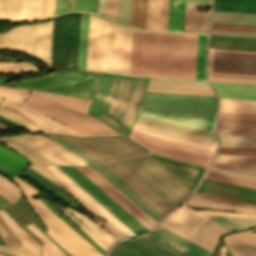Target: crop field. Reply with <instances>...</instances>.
<instances>
[{
    "instance_id": "16",
    "label": "crop field",
    "mask_w": 256,
    "mask_h": 256,
    "mask_svg": "<svg viewBox=\"0 0 256 256\" xmlns=\"http://www.w3.org/2000/svg\"><path fill=\"white\" fill-rule=\"evenodd\" d=\"M196 191L256 204V189L248 187L203 178Z\"/></svg>"
},
{
    "instance_id": "58",
    "label": "crop field",
    "mask_w": 256,
    "mask_h": 256,
    "mask_svg": "<svg viewBox=\"0 0 256 256\" xmlns=\"http://www.w3.org/2000/svg\"><path fill=\"white\" fill-rule=\"evenodd\" d=\"M211 29L242 31V32H255L256 33V26H243V25L212 23Z\"/></svg>"
},
{
    "instance_id": "7",
    "label": "crop field",
    "mask_w": 256,
    "mask_h": 256,
    "mask_svg": "<svg viewBox=\"0 0 256 256\" xmlns=\"http://www.w3.org/2000/svg\"><path fill=\"white\" fill-rule=\"evenodd\" d=\"M51 29L52 20L14 27L0 34V49L24 52L51 66Z\"/></svg>"
},
{
    "instance_id": "69",
    "label": "crop field",
    "mask_w": 256,
    "mask_h": 256,
    "mask_svg": "<svg viewBox=\"0 0 256 256\" xmlns=\"http://www.w3.org/2000/svg\"><path fill=\"white\" fill-rule=\"evenodd\" d=\"M0 195L10 203L18 198L17 196H15L13 193H11L9 190H7L5 187L1 185H0Z\"/></svg>"
},
{
    "instance_id": "68",
    "label": "crop field",
    "mask_w": 256,
    "mask_h": 256,
    "mask_svg": "<svg viewBox=\"0 0 256 256\" xmlns=\"http://www.w3.org/2000/svg\"><path fill=\"white\" fill-rule=\"evenodd\" d=\"M210 34L256 37V34L254 33L229 32V31H217V30H211Z\"/></svg>"
},
{
    "instance_id": "70",
    "label": "crop field",
    "mask_w": 256,
    "mask_h": 256,
    "mask_svg": "<svg viewBox=\"0 0 256 256\" xmlns=\"http://www.w3.org/2000/svg\"><path fill=\"white\" fill-rule=\"evenodd\" d=\"M19 105L22 106V107H24V106L21 105V104H19ZM24 108H26V107H24ZM26 109L29 110V111H31V110L28 109V108H26ZM31 112H33V111H31ZM33 113H35V112H33ZM35 114H37L38 116H40V117L46 119L47 121H49V122H51V123L57 125L58 127L64 129L65 131L69 132L71 135L81 136V135L77 134L76 132L72 131L71 129H69V128H67V127H65V126H63V125H61V124H59V123H57V122H55V121H53V120L47 118V117H44V116H42V115H40V114H38V113H35Z\"/></svg>"
},
{
    "instance_id": "30",
    "label": "crop field",
    "mask_w": 256,
    "mask_h": 256,
    "mask_svg": "<svg viewBox=\"0 0 256 256\" xmlns=\"http://www.w3.org/2000/svg\"><path fill=\"white\" fill-rule=\"evenodd\" d=\"M0 217L24 247V249L35 256H39L40 245L24 231L5 211L0 210Z\"/></svg>"
},
{
    "instance_id": "62",
    "label": "crop field",
    "mask_w": 256,
    "mask_h": 256,
    "mask_svg": "<svg viewBox=\"0 0 256 256\" xmlns=\"http://www.w3.org/2000/svg\"><path fill=\"white\" fill-rule=\"evenodd\" d=\"M168 2L169 0L161 1V21H160V30L167 31V22H168Z\"/></svg>"
},
{
    "instance_id": "10",
    "label": "crop field",
    "mask_w": 256,
    "mask_h": 256,
    "mask_svg": "<svg viewBox=\"0 0 256 256\" xmlns=\"http://www.w3.org/2000/svg\"><path fill=\"white\" fill-rule=\"evenodd\" d=\"M215 103L214 96L146 92L141 106L214 117Z\"/></svg>"
},
{
    "instance_id": "46",
    "label": "crop field",
    "mask_w": 256,
    "mask_h": 256,
    "mask_svg": "<svg viewBox=\"0 0 256 256\" xmlns=\"http://www.w3.org/2000/svg\"><path fill=\"white\" fill-rule=\"evenodd\" d=\"M160 1L161 0H148L146 22L147 30H159Z\"/></svg>"
},
{
    "instance_id": "2",
    "label": "crop field",
    "mask_w": 256,
    "mask_h": 256,
    "mask_svg": "<svg viewBox=\"0 0 256 256\" xmlns=\"http://www.w3.org/2000/svg\"><path fill=\"white\" fill-rule=\"evenodd\" d=\"M161 33L132 28L129 74L158 77ZM197 35L162 33L159 77L194 79Z\"/></svg>"
},
{
    "instance_id": "29",
    "label": "crop field",
    "mask_w": 256,
    "mask_h": 256,
    "mask_svg": "<svg viewBox=\"0 0 256 256\" xmlns=\"http://www.w3.org/2000/svg\"><path fill=\"white\" fill-rule=\"evenodd\" d=\"M219 97L256 100V86L211 82Z\"/></svg>"
},
{
    "instance_id": "21",
    "label": "crop field",
    "mask_w": 256,
    "mask_h": 256,
    "mask_svg": "<svg viewBox=\"0 0 256 256\" xmlns=\"http://www.w3.org/2000/svg\"><path fill=\"white\" fill-rule=\"evenodd\" d=\"M66 208V207H65ZM68 209L75 217H77L81 222H83L87 227H89L92 231H90L87 227H85L82 223L72 217L70 214L65 212L63 209L59 208V210L66 215L71 221H73L77 226L83 229L104 251L114 243L116 239L114 236L109 234L107 231L102 229L100 226L95 224L93 221L88 219L86 216L70 209Z\"/></svg>"
},
{
    "instance_id": "18",
    "label": "crop field",
    "mask_w": 256,
    "mask_h": 256,
    "mask_svg": "<svg viewBox=\"0 0 256 256\" xmlns=\"http://www.w3.org/2000/svg\"><path fill=\"white\" fill-rule=\"evenodd\" d=\"M138 113L214 132V118L211 117L177 113L144 107H141Z\"/></svg>"
},
{
    "instance_id": "14",
    "label": "crop field",
    "mask_w": 256,
    "mask_h": 256,
    "mask_svg": "<svg viewBox=\"0 0 256 256\" xmlns=\"http://www.w3.org/2000/svg\"><path fill=\"white\" fill-rule=\"evenodd\" d=\"M211 215H229L256 218L254 215L243 213H231L220 211H193L185 206L180 207L172 215H170L163 223L162 226L186 237L188 240L191 234Z\"/></svg>"
},
{
    "instance_id": "12",
    "label": "crop field",
    "mask_w": 256,
    "mask_h": 256,
    "mask_svg": "<svg viewBox=\"0 0 256 256\" xmlns=\"http://www.w3.org/2000/svg\"><path fill=\"white\" fill-rule=\"evenodd\" d=\"M129 137L139 142L140 144L144 145L145 147L149 148L150 151L154 153L205 165V166H207L210 158L214 154L213 151H209V150H205V149L133 132V131L131 132Z\"/></svg>"
},
{
    "instance_id": "56",
    "label": "crop field",
    "mask_w": 256,
    "mask_h": 256,
    "mask_svg": "<svg viewBox=\"0 0 256 256\" xmlns=\"http://www.w3.org/2000/svg\"><path fill=\"white\" fill-rule=\"evenodd\" d=\"M116 0H107V14L115 17ZM97 14L114 19L106 15V0H98Z\"/></svg>"
},
{
    "instance_id": "71",
    "label": "crop field",
    "mask_w": 256,
    "mask_h": 256,
    "mask_svg": "<svg viewBox=\"0 0 256 256\" xmlns=\"http://www.w3.org/2000/svg\"><path fill=\"white\" fill-rule=\"evenodd\" d=\"M186 4L210 6V0H186Z\"/></svg>"
},
{
    "instance_id": "38",
    "label": "crop field",
    "mask_w": 256,
    "mask_h": 256,
    "mask_svg": "<svg viewBox=\"0 0 256 256\" xmlns=\"http://www.w3.org/2000/svg\"><path fill=\"white\" fill-rule=\"evenodd\" d=\"M219 111L256 114V101L220 98Z\"/></svg>"
},
{
    "instance_id": "43",
    "label": "crop field",
    "mask_w": 256,
    "mask_h": 256,
    "mask_svg": "<svg viewBox=\"0 0 256 256\" xmlns=\"http://www.w3.org/2000/svg\"><path fill=\"white\" fill-rule=\"evenodd\" d=\"M184 0H170L168 31H182Z\"/></svg>"
},
{
    "instance_id": "26",
    "label": "crop field",
    "mask_w": 256,
    "mask_h": 256,
    "mask_svg": "<svg viewBox=\"0 0 256 256\" xmlns=\"http://www.w3.org/2000/svg\"><path fill=\"white\" fill-rule=\"evenodd\" d=\"M57 164H76L30 134L9 136Z\"/></svg>"
},
{
    "instance_id": "39",
    "label": "crop field",
    "mask_w": 256,
    "mask_h": 256,
    "mask_svg": "<svg viewBox=\"0 0 256 256\" xmlns=\"http://www.w3.org/2000/svg\"><path fill=\"white\" fill-rule=\"evenodd\" d=\"M96 0H56L55 15L70 10L90 11L95 13Z\"/></svg>"
},
{
    "instance_id": "77",
    "label": "crop field",
    "mask_w": 256,
    "mask_h": 256,
    "mask_svg": "<svg viewBox=\"0 0 256 256\" xmlns=\"http://www.w3.org/2000/svg\"><path fill=\"white\" fill-rule=\"evenodd\" d=\"M6 206V204H4L1 200H0V207H4Z\"/></svg>"
},
{
    "instance_id": "22",
    "label": "crop field",
    "mask_w": 256,
    "mask_h": 256,
    "mask_svg": "<svg viewBox=\"0 0 256 256\" xmlns=\"http://www.w3.org/2000/svg\"><path fill=\"white\" fill-rule=\"evenodd\" d=\"M211 166L256 176V157L217 154Z\"/></svg>"
},
{
    "instance_id": "44",
    "label": "crop field",
    "mask_w": 256,
    "mask_h": 256,
    "mask_svg": "<svg viewBox=\"0 0 256 256\" xmlns=\"http://www.w3.org/2000/svg\"><path fill=\"white\" fill-rule=\"evenodd\" d=\"M89 14L81 13L78 68L85 69Z\"/></svg>"
},
{
    "instance_id": "25",
    "label": "crop field",
    "mask_w": 256,
    "mask_h": 256,
    "mask_svg": "<svg viewBox=\"0 0 256 256\" xmlns=\"http://www.w3.org/2000/svg\"><path fill=\"white\" fill-rule=\"evenodd\" d=\"M135 121L160 127V128H164V129H168V130H172V131H176V132H180V133H184V134H188V135H192V136H196V137H200V138H204V139H208V140H212V141H216L215 134L212 132H208V131H204V130H200V129H196V128H192V127H188V126H184V125H180V124H176V123H172V122H168V121H164V120H160V119H156V118H152V117H148L140 114L137 115V118Z\"/></svg>"
},
{
    "instance_id": "55",
    "label": "crop field",
    "mask_w": 256,
    "mask_h": 256,
    "mask_svg": "<svg viewBox=\"0 0 256 256\" xmlns=\"http://www.w3.org/2000/svg\"><path fill=\"white\" fill-rule=\"evenodd\" d=\"M0 235L3 238L6 246L23 249V247L20 245L17 239L13 236V234L10 232V230L7 228V226L2 221L1 218H0Z\"/></svg>"
},
{
    "instance_id": "52",
    "label": "crop field",
    "mask_w": 256,
    "mask_h": 256,
    "mask_svg": "<svg viewBox=\"0 0 256 256\" xmlns=\"http://www.w3.org/2000/svg\"><path fill=\"white\" fill-rule=\"evenodd\" d=\"M131 0H117L116 20L130 25Z\"/></svg>"
},
{
    "instance_id": "28",
    "label": "crop field",
    "mask_w": 256,
    "mask_h": 256,
    "mask_svg": "<svg viewBox=\"0 0 256 256\" xmlns=\"http://www.w3.org/2000/svg\"><path fill=\"white\" fill-rule=\"evenodd\" d=\"M28 160L0 145V174L9 179L27 167Z\"/></svg>"
},
{
    "instance_id": "35",
    "label": "crop field",
    "mask_w": 256,
    "mask_h": 256,
    "mask_svg": "<svg viewBox=\"0 0 256 256\" xmlns=\"http://www.w3.org/2000/svg\"><path fill=\"white\" fill-rule=\"evenodd\" d=\"M212 22L256 25V14L213 11Z\"/></svg>"
},
{
    "instance_id": "34",
    "label": "crop field",
    "mask_w": 256,
    "mask_h": 256,
    "mask_svg": "<svg viewBox=\"0 0 256 256\" xmlns=\"http://www.w3.org/2000/svg\"><path fill=\"white\" fill-rule=\"evenodd\" d=\"M218 133L221 146L256 148V134Z\"/></svg>"
},
{
    "instance_id": "53",
    "label": "crop field",
    "mask_w": 256,
    "mask_h": 256,
    "mask_svg": "<svg viewBox=\"0 0 256 256\" xmlns=\"http://www.w3.org/2000/svg\"><path fill=\"white\" fill-rule=\"evenodd\" d=\"M33 136H35L38 139H40L41 141L45 142L46 144H48L52 148L56 149L57 151H59L63 155H65L68 158H70L71 160L75 161L76 163L88 165L87 163H85L80 158H78L77 156H75L74 154H72L71 152H69L68 150L63 148L62 146H60L58 143H56L55 141H53L49 137H46V136H43V135H33Z\"/></svg>"
},
{
    "instance_id": "47",
    "label": "crop field",
    "mask_w": 256,
    "mask_h": 256,
    "mask_svg": "<svg viewBox=\"0 0 256 256\" xmlns=\"http://www.w3.org/2000/svg\"><path fill=\"white\" fill-rule=\"evenodd\" d=\"M148 85L210 89L207 82L151 79Z\"/></svg>"
},
{
    "instance_id": "59",
    "label": "crop field",
    "mask_w": 256,
    "mask_h": 256,
    "mask_svg": "<svg viewBox=\"0 0 256 256\" xmlns=\"http://www.w3.org/2000/svg\"><path fill=\"white\" fill-rule=\"evenodd\" d=\"M210 81L256 84V79L208 75Z\"/></svg>"
},
{
    "instance_id": "19",
    "label": "crop field",
    "mask_w": 256,
    "mask_h": 256,
    "mask_svg": "<svg viewBox=\"0 0 256 256\" xmlns=\"http://www.w3.org/2000/svg\"><path fill=\"white\" fill-rule=\"evenodd\" d=\"M55 174L58 178L64 181L68 186H70L76 193H78L84 200H86L91 206H93L99 213H101L106 219H108L114 226H116L122 233L126 236L134 235L127 226H125L121 221H119L114 215H112L107 209H105L100 203H98L94 198H92L87 192H85L80 186H78L73 180H71L67 175H65L56 166H44Z\"/></svg>"
},
{
    "instance_id": "9",
    "label": "crop field",
    "mask_w": 256,
    "mask_h": 256,
    "mask_svg": "<svg viewBox=\"0 0 256 256\" xmlns=\"http://www.w3.org/2000/svg\"><path fill=\"white\" fill-rule=\"evenodd\" d=\"M208 74L256 78V50L209 47Z\"/></svg>"
},
{
    "instance_id": "11",
    "label": "crop field",
    "mask_w": 256,
    "mask_h": 256,
    "mask_svg": "<svg viewBox=\"0 0 256 256\" xmlns=\"http://www.w3.org/2000/svg\"><path fill=\"white\" fill-rule=\"evenodd\" d=\"M127 240L146 248L160 256H210L211 252L187 241L185 238L163 228L144 237Z\"/></svg>"
},
{
    "instance_id": "65",
    "label": "crop field",
    "mask_w": 256,
    "mask_h": 256,
    "mask_svg": "<svg viewBox=\"0 0 256 256\" xmlns=\"http://www.w3.org/2000/svg\"><path fill=\"white\" fill-rule=\"evenodd\" d=\"M230 251L256 252V245L227 244Z\"/></svg>"
},
{
    "instance_id": "75",
    "label": "crop field",
    "mask_w": 256,
    "mask_h": 256,
    "mask_svg": "<svg viewBox=\"0 0 256 256\" xmlns=\"http://www.w3.org/2000/svg\"><path fill=\"white\" fill-rule=\"evenodd\" d=\"M207 30L184 29V32L206 33Z\"/></svg>"
},
{
    "instance_id": "13",
    "label": "crop field",
    "mask_w": 256,
    "mask_h": 256,
    "mask_svg": "<svg viewBox=\"0 0 256 256\" xmlns=\"http://www.w3.org/2000/svg\"><path fill=\"white\" fill-rule=\"evenodd\" d=\"M136 234L149 231L74 166H57Z\"/></svg>"
},
{
    "instance_id": "67",
    "label": "crop field",
    "mask_w": 256,
    "mask_h": 256,
    "mask_svg": "<svg viewBox=\"0 0 256 256\" xmlns=\"http://www.w3.org/2000/svg\"><path fill=\"white\" fill-rule=\"evenodd\" d=\"M218 117L241 118V119H256V115L237 114V113H225V112H219Z\"/></svg>"
},
{
    "instance_id": "45",
    "label": "crop field",
    "mask_w": 256,
    "mask_h": 256,
    "mask_svg": "<svg viewBox=\"0 0 256 256\" xmlns=\"http://www.w3.org/2000/svg\"><path fill=\"white\" fill-rule=\"evenodd\" d=\"M147 0H132L131 25L145 29Z\"/></svg>"
},
{
    "instance_id": "3",
    "label": "crop field",
    "mask_w": 256,
    "mask_h": 256,
    "mask_svg": "<svg viewBox=\"0 0 256 256\" xmlns=\"http://www.w3.org/2000/svg\"><path fill=\"white\" fill-rule=\"evenodd\" d=\"M148 80L103 74L89 113L127 136Z\"/></svg>"
},
{
    "instance_id": "66",
    "label": "crop field",
    "mask_w": 256,
    "mask_h": 256,
    "mask_svg": "<svg viewBox=\"0 0 256 256\" xmlns=\"http://www.w3.org/2000/svg\"><path fill=\"white\" fill-rule=\"evenodd\" d=\"M0 252H4V253L11 254L14 256H33L32 254H30L26 251L9 248V247H4V246H0Z\"/></svg>"
},
{
    "instance_id": "17",
    "label": "crop field",
    "mask_w": 256,
    "mask_h": 256,
    "mask_svg": "<svg viewBox=\"0 0 256 256\" xmlns=\"http://www.w3.org/2000/svg\"><path fill=\"white\" fill-rule=\"evenodd\" d=\"M185 204L256 214V205L194 192Z\"/></svg>"
},
{
    "instance_id": "15",
    "label": "crop field",
    "mask_w": 256,
    "mask_h": 256,
    "mask_svg": "<svg viewBox=\"0 0 256 256\" xmlns=\"http://www.w3.org/2000/svg\"><path fill=\"white\" fill-rule=\"evenodd\" d=\"M75 167L78 168L83 174H85L90 180H92L110 197H112L117 203H119L124 209H126L145 227H147L149 230L154 228L156 224L152 219H150L145 213H143L138 207H136L131 201H129L124 195H122L116 188H114L95 170H93L91 167Z\"/></svg>"
},
{
    "instance_id": "40",
    "label": "crop field",
    "mask_w": 256,
    "mask_h": 256,
    "mask_svg": "<svg viewBox=\"0 0 256 256\" xmlns=\"http://www.w3.org/2000/svg\"><path fill=\"white\" fill-rule=\"evenodd\" d=\"M209 13L197 12V6L185 5L184 28L207 29Z\"/></svg>"
},
{
    "instance_id": "37",
    "label": "crop field",
    "mask_w": 256,
    "mask_h": 256,
    "mask_svg": "<svg viewBox=\"0 0 256 256\" xmlns=\"http://www.w3.org/2000/svg\"><path fill=\"white\" fill-rule=\"evenodd\" d=\"M206 178L256 188V179L209 168Z\"/></svg>"
},
{
    "instance_id": "63",
    "label": "crop field",
    "mask_w": 256,
    "mask_h": 256,
    "mask_svg": "<svg viewBox=\"0 0 256 256\" xmlns=\"http://www.w3.org/2000/svg\"><path fill=\"white\" fill-rule=\"evenodd\" d=\"M225 217L242 228L251 227L256 224V219H247V218L229 217V216H225Z\"/></svg>"
},
{
    "instance_id": "33",
    "label": "crop field",
    "mask_w": 256,
    "mask_h": 256,
    "mask_svg": "<svg viewBox=\"0 0 256 256\" xmlns=\"http://www.w3.org/2000/svg\"><path fill=\"white\" fill-rule=\"evenodd\" d=\"M209 46L256 49V39L210 35Z\"/></svg>"
},
{
    "instance_id": "20",
    "label": "crop field",
    "mask_w": 256,
    "mask_h": 256,
    "mask_svg": "<svg viewBox=\"0 0 256 256\" xmlns=\"http://www.w3.org/2000/svg\"><path fill=\"white\" fill-rule=\"evenodd\" d=\"M132 130L150 134V135H154V136H158V137H162V138H166V139H170V140H174V141H178V142H182V143H186V144H190V145H194V146H198V147H202V148H206V149H210V150H214V151L217 146L216 142H212V141H208V140H204V139H200V138H196V137H192V136H188V135H184V134H180V133H176V132L140 124V123H136V122L134 123Z\"/></svg>"
},
{
    "instance_id": "1",
    "label": "crop field",
    "mask_w": 256,
    "mask_h": 256,
    "mask_svg": "<svg viewBox=\"0 0 256 256\" xmlns=\"http://www.w3.org/2000/svg\"><path fill=\"white\" fill-rule=\"evenodd\" d=\"M47 135L94 167L158 222L192 190L147 150L127 139Z\"/></svg>"
},
{
    "instance_id": "76",
    "label": "crop field",
    "mask_w": 256,
    "mask_h": 256,
    "mask_svg": "<svg viewBox=\"0 0 256 256\" xmlns=\"http://www.w3.org/2000/svg\"><path fill=\"white\" fill-rule=\"evenodd\" d=\"M2 99H0V101H1ZM1 115V114H0ZM1 116H3V117H5V118H7V119H9V120H11V121H13V122H15V123H17V124H19V125H21L20 123H18V122H16V121H14V120H12V119H10V118H8V117H6V116H4V115H1ZM21 126H23V125H21ZM27 131H30V130H28L25 126H23Z\"/></svg>"
},
{
    "instance_id": "8",
    "label": "crop field",
    "mask_w": 256,
    "mask_h": 256,
    "mask_svg": "<svg viewBox=\"0 0 256 256\" xmlns=\"http://www.w3.org/2000/svg\"><path fill=\"white\" fill-rule=\"evenodd\" d=\"M80 13L54 17L52 64L77 68Z\"/></svg>"
},
{
    "instance_id": "72",
    "label": "crop field",
    "mask_w": 256,
    "mask_h": 256,
    "mask_svg": "<svg viewBox=\"0 0 256 256\" xmlns=\"http://www.w3.org/2000/svg\"><path fill=\"white\" fill-rule=\"evenodd\" d=\"M42 256H57V255L54 252H52L45 244H43Z\"/></svg>"
},
{
    "instance_id": "41",
    "label": "crop field",
    "mask_w": 256,
    "mask_h": 256,
    "mask_svg": "<svg viewBox=\"0 0 256 256\" xmlns=\"http://www.w3.org/2000/svg\"><path fill=\"white\" fill-rule=\"evenodd\" d=\"M0 143H3L16 151L20 152L24 156L28 157L31 161V163L34 164H55L51 162L50 160L44 158L43 156L37 154L36 152L30 150L29 148L23 146L22 144L16 142L15 140L9 138V137H2L0 138Z\"/></svg>"
},
{
    "instance_id": "50",
    "label": "crop field",
    "mask_w": 256,
    "mask_h": 256,
    "mask_svg": "<svg viewBox=\"0 0 256 256\" xmlns=\"http://www.w3.org/2000/svg\"><path fill=\"white\" fill-rule=\"evenodd\" d=\"M18 0H0V20L17 21Z\"/></svg>"
},
{
    "instance_id": "6",
    "label": "crop field",
    "mask_w": 256,
    "mask_h": 256,
    "mask_svg": "<svg viewBox=\"0 0 256 256\" xmlns=\"http://www.w3.org/2000/svg\"><path fill=\"white\" fill-rule=\"evenodd\" d=\"M100 75L87 71L60 69L37 79L21 80L6 85L92 98Z\"/></svg>"
},
{
    "instance_id": "4",
    "label": "crop field",
    "mask_w": 256,
    "mask_h": 256,
    "mask_svg": "<svg viewBox=\"0 0 256 256\" xmlns=\"http://www.w3.org/2000/svg\"><path fill=\"white\" fill-rule=\"evenodd\" d=\"M131 28L91 15L86 69L128 74Z\"/></svg>"
},
{
    "instance_id": "23",
    "label": "crop field",
    "mask_w": 256,
    "mask_h": 256,
    "mask_svg": "<svg viewBox=\"0 0 256 256\" xmlns=\"http://www.w3.org/2000/svg\"><path fill=\"white\" fill-rule=\"evenodd\" d=\"M55 0H19L18 21L54 15Z\"/></svg>"
},
{
    "instance_id": "74",
    "label": "crop field",
    "mask_w": 256,
    "mask_h": 256,
    "mask_svg": "<svg viewBox=\"0 0 256 256\" xmlns=\"http://www.w3.org/2000/svg\"><path fill=\"white\" fill-rule=\"evenodd\" d=\"M93 220L95 221V222H97L99 225H101L103 228H105L107 231H109L111 234H113L115 237H117L118 239L119 238H121V237H119L118 235H116L115 233H113L112 231H110L106 226H104L100 221H98V220H96V219H94L93 218Z\"/></svg>"
},
{
    "instance_id": "32",
    "label": "crop field",
    "mask_w": 256,
    "mask_h": 256,
    "mask_svg": "<svg viewBox=\"0 0 256 256\" xmlns=\"http://www.w3.org/2000/svg\"><path fill=\"white\" fill-rule=\"evenodd\" d=\"M218 131L256 133V120L217 119Z\"/></svg>"
},
{
    "instance_id": "54",
    "label": "crop field",
    "mask_w": 256,
    "mask_h": 256,
    "mask_svg": "<svg viewBox=\"0 0 256 256\" xmlns=\"http://www.w3.org/2000/svg\"><path fill=\"white\" fill-rule=\"evenodd\" d=\"M226 243H238V244H256L255 232H243L231 236H227Z\"/></svg>"
},
{
    "instance_id": "49",
    "label": "crop field",
    "mask_w": 256,
    "mask_h": 256,
    "mask_svg": "<svg viewBox=\"0 0 256 256\" xmlns=\"http://www.w3.org/2000/svg\"><path fill=\"white\" fill-rule=\"evenodd\" d=\"M30 90L8 88L0 86V97L15 104L28 98Z\"/></svg>"
},
{
    "instance_id": "57",
    "label": "crop field",
    "mask_w": 256,
    "mask_h": 256,
    "mask_svg": "<svg viewBox=\"0 0 256 256\" xmlns=\"http://www.w3.org/2000/svg\"><path fill=\"white\" fill-rule=\"evenodd\" d=\"M33 233H35L51 250H53L58 256H67L61 251L52 241H50L44 234L37 229L32 223L26 225ZM34 234V235H35ZM35 235V236H36Z\"/></svg>"
},
{
    "instance_id": "73",
    "label": "crop field",
    "mask_w": 256,
    "mask_h": 256,
    "mask_svg": "<svg viewBox=\"0 0 256 256\" xmlns=\"http://www.w3.org/2000/svg\"><path fill=\"white\" fill-rule=\"evenodd\" d=\"M234 256H256V253L232 252Z\"/></svg>"
},
{
    "instance_id": "64",
    "label": "crop field",
    "mask_w": 256,
    "mask_h": 256,
    "mask_svg": "<svg viewBox=\"0 0 256 256\" xmlns=\"http://www.w3.org/2000/svg\"><path fill=\"white\" fill-rule=\"evenodd\" d=\"M0 184L5 186L7 189H9L11 192H13L18 197L21 195L20 188L16 186L14 183H12L10 180L2 177L0 175Z\"/></svg>"
},
{
    "instance_id": "36",
    "label": "crop field",
    "mask_w": 256,
    "mask_h": 256,
    "mask_svg": "<svg viewBox=\"0 0 256 256\" xmlns=\"http://www.w3.org/2000/svg\"><path fill=\"white\" fill-rule=\"evenodd\" d=\"M213 10L256 13V0H215Z\"/></svg>"
},
{
    "instance_id": "24",
    "label": "crop field",
    "mask_w": 256,
    "mask_h": 256,
    "mask_svg": "<svg viewBox=\"0 0 256 256\" xmlns=\"http://www.w3.org/2000/svg\"><path fill=\"white\" fill-rule=\"evenodd\" d=\"M163 164H165L171 171H173L179 178H181L187 185H189L192 189L196 185L199 180L204 167L196 166L193 164L157 156ZM156 158V159H157Z\"/></svg>"
},
{
    "instance_id": "42",
    "label": "crop field",
    "mask_w": 256,
    "mask_h": 256,
    "mask_svg": "<svg viewBox=\"0 0 256 256\" xmlns=\"http://www.w3.org/2000/svg\"><path fill=\"white\" fill-rule=\"evenodd\" d=\"M109 256H157L126 240L113 246Z\"/></svg>"
},
{
    "instance_id": "48",
    "label": "crop field",
    "mask_w": 256,
    "mask_h": 256,
    "mask_svg": "<svg viewBox=\"0 0 256 256\" xmlns=\"http://www.w3.org/2000/svg\"><path fill=\"white\" fill-rule=\"evenodd\" d=\"M205 41L206 35H198L195 79H206L204 76Z\"/></svg>"
},
{
    "instance_id": "27",
    "label": "crop field",
    "mask_w": 256,
    "mask_h": 256,
    "mask_svg": "<svg viewBox=\"0 0 256 256\" xmlns=\"http://www.w3.org/2000/svg\"><path fill=\"white\" fill-rule=\"evenodd\" d=\"M222 232L226 230L207 220L192 234L191 242L212 252Z\"/></svg>"
},
{
    "instance_id": "5",
    "label": "crop field",
    "mask_w": 256,
    "mask_h": 256,
    "mask_svg": "<svg viewBox=\"0 0 256 256\" xmlns=\"http://www.w3.org/2000/svg\"><path fill=\"white\" fill-rule=\"evenodd\" d=\"M13 181L22 188L26 199L34 208L36 214L40 217L45 226L50 229L51 232L46 229V233L65 250L73 256H103L80 234L75 232L52 212L41 200L31 199L30 196L37 192L34 187L17 177H15Z\"/></svg>"
},
{
    "instance_id": "51",
    "label": "crop field",
    "mask_w": 256,
    "mask_h": 256,
    "mask_svg": "<svg viewBox=\"0 0 256 256\" xmlns=\"http://www.w3.org/2000/svg\"><path fill=\"white\" fill-rule=\"evenodd\" d=\"M146 91L214 95L212 90L148 86Z\"/></svg>"
},
{
    "instance_id": "78",
    "label": "crop field",
    "mask_w": 256,
    "mask_h": 256,
    "mask_svg": "<svg viewBox=\"0 0 256 256\" xmlns=\"http://www.w3.org/2000/svg\"><path fill=\"white\" fill-rule=\"evenodd\" d=\"M250 231H255L256 232V229H253V230H250Z\"/></svg>"
},
{
    "instance_id": "31",
    "label": "crop field",
    "mask_w": 256,
    "mask_h": 256,
    "mask_svg": "<svg viewBox=\"0 0 256 256\" xmlns=\"http://www.w3.org/2000/svg\"><path fill=\"white\" fill-rule=\"evenodd\" d=\"M34 170L42 174L44 177L52 181L53 183L59 185L60 187L64 188L66 191H68L72 196H74L77 200H79L85 207L88 209L91 213L97 214L101 217H103L101 214H99L93 207H91L86 201H84L78 194H76L70 187H68L64 182H62L60 179H58L55 175H53L50 171H48L43 166H37L32 165L31 166ZM104 218V217H103ZM105 219V218H104ZM106 220V219H105ZM102 221V220H100ZM108 224H106L104 221H102L110 230L118 234L119 236H125L122 234L116 227H114L108 220H106Z\"/></svg>"
},
{
    "instance_id": "61",
    "label": "crop field",
    "mask_w": 256,
    "mask_h": 256,
    "mask_svg": "<svg viewBox=\"0 0 256 256\" xmlns=\"http://www.w3.org/2000/svg\"><path fill=\"white\" fill-rule=\"evenodd\" d=\"M209 219L228 231L240 229V227L228 221L224 216H211Z\"/></svg>"
},
{
    "instance_id": "60",
    "label": "crop field",
    "mask_w": 256,
    "mask_h": 256,
    "mask_svg": "<svg viewBox=\"0 0 256 256\" xmlns=\"http://www.w3.org/2000/svg\"><path fill=\"white\" fill-rule=\"evenodd\" d=\"M219 153L256 156V149H242V148L221 147Z\"/></svg>"
},
{
    "instance_id": "79",
    "label": "crop field",
    "mask_w": 256,
    "mask_h": 256,
    "mask_svg": "<svg viewBox=\"0 0 256 256\" xmlns=\"http://www.w3.org/2000/svg\"><path fill=\"white\" fill-rule=\"evenodd\" d=\"M0 256H4V255H1V254H0Z\"/></svg>"
}]
</instances>
